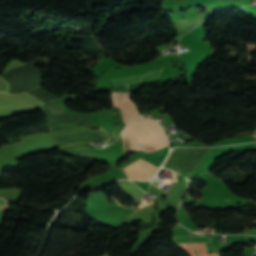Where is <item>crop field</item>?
I'll list each match as a JSON object with an SVG mask.
<instances>
[{"label": "crop field", "instance_id": "2", "mask_svg": "<svg viewBox=\"0 0 256 256\" xmlns=\"http://www.w3.org/2000/svg\"><path fill=\"white\" fill-rule=\"evenodd\" d=\"M123 170L125 171L128 179L149 180L157 172L158 167L139 157Z\"/></svg>", "mask_w": 256, "mask_h": 256}, {"label": "crop field", "instance_id": "6", "mask_svg": "<svg viewBox=\"0 0 256 256\" xmlns=\"http://www.w3.org/2000/svg\"><path fill=\"white\" fill-rule=\"evenodd\" d=\"M216 1H220V0H188L184 4L176 5L175 9L176 11H181L192 6L207 4V3L216 2Z\"/></svg>", "mask_w": 256, "mask_h": 256}, {"label": "crop field", "instance_id": "1", "mask_svg": "<svg viewBox=\"0 0 256 256\" xmlns=\"http://www.w3.org/2000/svg\"><path fill=\"white\" fill-rule=\"evenodd\" d=\"M124 132L129 143L126 152L142 150L151 153L167 146L166 136L161 126L151 119L132 120Z\"/></svg>", "mask_w": 256, "mask_h": 256}, {"label": "crop field", "instance_id": "3", "mask_svg": "<svg viewBox=\"0 0 256 256\" xmlns=\"http://www.w3.org/2000/svg\"><path fill=\"white\" fill-rule=\"evenodd\" d=\"M130 99L131 93L112 92V103L115 105L119 114L125 119L126 122L140 116L136 110L135 104Z\"/></svg>", "mask_w": 256, "mask_h": 256}, {"label": "crop field", "instance_id": "8", "mask_svg": "<svg viewBox=\"0 0 256 256\" xmlns=\"http://www.w3.org/2000/svg\"><path fill=\"white\" fill-rule=\"evenodd\" d=\"M172 151H173V150H172ZM172 151L170 152V154H169V155H168V157L166 158V160H165V162H164V164H163V167L165 166V164H166L167 160L169 159V157H170V155H171Z\"/></svg>", "mask_w": 256, "mask_h": 256}, {"label": "crop field", "instance_id": "7", "mask_svg": "<svg viewBox=\"0 0 256 256\" xmlns=\"http://www.w3.org/2000/svg\"><path fill=\"white\" fill-rule=\"evenodd\" d=\"M190 245L189 244H177L178 247L186 250L190 254V256H193L194 249H193V247L191 245V247L193 249V252H192V249H191ZM194 256H196L195 253H194Z\"/></svg>", "mask_w": 256, "mask_h": 256}, {"label": "crop field", "instance_id": "4", "mask_svg": "<svg viewBox=\"0 0 256 256\" xmlns=\"http://www.w3.org/2000/svg\"><path fill=\"white\" fill-rule=\"evenodd\" d=\"M163 68L137 74V75H132V76H126V77H120V78H114L113 83L115 86L117 85H123V84H128V83H133V82H139V81H144L148 79H153L157 78L160 76Z\"/></svg>", "mask_w": 256, "mask_h": 256}, {"label": "crop field", "instance_id": "5", "mask_svg": "<svg viewBox=\"0 0 256 256\" xmlns=\"http://www.w3.org/2000/svg\"><path fill=\"white\" fill-rule=\"evenodd\" d=\"M118 185L126 194L130 195L136 201V203L145 194L142 190H140L135 185H131V184H118Z\"/></svg>", "mask_w": 256, "mask_h": 256}]
</instances>
